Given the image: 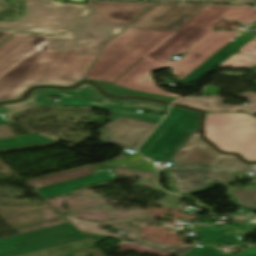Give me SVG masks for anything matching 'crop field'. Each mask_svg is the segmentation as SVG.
I'll return each mask as SVG.
<instances>
[{"mask_svg": "<svg viewBox=\"0 0 256 256\" xmlns=\"http://www.w3.org/2000/svg\"><path fill=\"white\" fill-rule=\"evenodd\" d=\"M119 115L146 121V122H150V123H154V124H157L161 120V118H159V117L147 116V115H143V114H126V113L115 114L108 119L113 120V119L117 118Z\"/></svg>", "mask_w": 256, "mask_h": 256, "instance_id": "a9b5d70f", "label": "crop field"}, {"mask_svg": "<svg viewBox=\"0 0 256 256\" xmlns=\"http://www.w3.org/2000/svg\"><path fill=\"white\" fill-rule=\"evenodd\" d=\"M13 32L14 31L0 30V42H2L5 38H7Z\"/></svg>", "mask_w": 256, "mask_h": 256, "instance_id": "bd1437ed", "label": "crop field"}, {"mask_svg": "<svg viewBox=\"0 0 256 256\" xmlns=\"http://www.w3.org/2000/svg\"><path fill=\"white\" fill-rule=\"evenodd\" d=\"M218 92H219V89H218V88L210 86L209 88H206V89L203 91L202 94H203L204 96H205V95H208V94L214 95V94H218Z\"/></svg>", "mask_w": 256, "mask_h": 256, "instance_id": "750c4746", "label": "crop field"}, {"mask_svg": "<svg viewBox=\"0 0 256 256\" xmlns=\"http://www.w3.org/2000/svg\"><path fill=\"white\" fill-rule=\"evenodd\" d=\"M92 172H94V170L91 169L89 166H87L85 168L72 170V171L60 173V174L45 177V178L30 180L27 182V184H29L33 188L43 187L45 185L90 175Z\"/></svg>", "mask_w": 256, "mask_h": 256, "instance_id": "4a817a6b", "label": "crop field"}, {"mask_svg": "<svg viewBox=\"0 0 256 256\" xmlns=\"http://www.w3.org/2000/svg\"><path fill=\"white\" fill-rule=\"evenodd\" d=\"M185 256H235L230 254H221L214 247L203 246L195 247ZM239 256H256V249L252 248Z\"/></svg>", "mask_w": 256, "mask_h": 256, "instance_id": "dafd665d", "label": "crop field"}, {"mask_svg": "<svg viewBox=\"0 0 256 256\" xmlns=\"http://www.w3.org/2000/svg\"><path fill=\"white\" fill-rule=\"evenodd\" d=\"M256 83V82H255Z\"/></svg>", "mask_w": 256, "mask_h": 256, "instance_id": "c21b1889", "label": "crop field"}, {"mask_svg": "<svg viewBox=\"0 0 256 256\" xmlns=\"http://www.w3.org/2000/svg\"><path fill=\"white\" fill-rule=\"evenodd\" d=\"M155 1H176V0H155Z\"/></svg>", "mask_w": 256, "mask_h": 256, "instance_id": "028f5c9d", "label": "crop field"}, {"mask_svg": "<svg viewBox=\"0 0 256 256\" xmlns=\"http://www.w3.org/2000/svg\"><path fill=\"white\" fill-rule=\"evenodd\" d=\"M224 99L218 95L198 98L179 99L174 104L190 106L207 111L240 112L246 111V107L240 105H222Z\"/></svg>", "mask_w": 256, "mask_h": 256, "instance_id": "5142ce71", "label": "crop field"}, {"mask_svg": "<svg viewBox=\"0 0 256 256\" xmlns=\"http://www.w3.org/2000/svg\"><path fill=\"white\" fill-rule=\"evenodd\" d=\"M198 226H210L208 224H198Z\"/></svg>", "mask_w": 256, "mask_h": 256, "instance_id": "5866460e", "label": "crop field"}, {"mask_svg": "<svg viewBox=\"0 0 256 256\" xmlns=\"http://www.w3.org/2000/svg\"><path fill=\"white\" fill-rule=\"evenodd\" d=\"M256 0H237V1H229V0H179L178 2H212V3H246V4H254Z\"/></svg>", "mask_w": 256, "mask_h": 256, "instance_id": "730fd06b", "label": "crop field"}, {"mask_svg": "<svg viewBox=\"0 0 256 256\" xmlns=\"http://www.w3.org/2000/svg\"><path fill=\"white\" fill-rule=\"evenodd\" d=\"M60 95L61 106H91L110 111L134 113L136 109H146L166 114L169 105L154 101L109 99L100 94L93 85L83 84L73 90L34 89L30 96L20 103L0 105V111L7 121L26 109L43 105H55L46 97Z\"/></svg>", "mask_w": 256, "mask_h": 256, "instance_id": "34b2d1b8", "label": "crop field"}, {"mask_svg": "<svg viewBox=\"0 0 256 256\" xmlns=\"http://www.w3.org/2000/svg\"><path fill=\"white\" fill-rule=\"evenodd\" d=\"M231 195L237 197V203L249 208H256V189L248 191L241 188H233Z\"/></svg>", "mask_w": 256, "mask_h": 256, "instance_id": "92a150f3", "label": "crop field"}, {"mask_svg": "<svg viewBox=\"0 0 256 256\" xmlns=\"http://www.w3.org/2000/svg\"><path fill=\"white\" fill-rule=\"evenodd\" d=\"M87 81H90V80H87ZM94 82L106 93L114 96L148 97V98L164 100L169 102H172L175 99V98L164 97V96H159V95H154L149 93L131 91L114 84H107V83L96 82V81Z\"/></svg>", "mask_w": 256, "mask_h": 256, "instance_id": "bc2a9ffb", "label": "crop field"}, {"mask_svg": "<svg viewBox=\"0 0 256 256\" xmlns=\"http://www.w3.org/2000/svg\"><path fill=\"white\" fill-rule=\"evenodd\" d=\"M253 40H256V37H254Z\"/></svg>", "mask_w": 256, "mask_h": 256, "instance_id": "b80d0937", "label": "crop field"}, {"mask_svg": "<svg viewBox=\"0 0 256 256\" xmlns=\"http://www.w3.org/2000/svg\"><path fill=\"white\" fill-rule=\"evenodd\" d=\"M3 124H7V122H6V120L4 119V117L0 113V125H3Z\"/></svg>", "mask_w": 256, "mask_h": 256, "instance_id": "120bbe31", "label": "crop field"}, {"mask_svg": "<svg viewBox=\"0 0 256 256\" xmlns=\"http://www.w3.org/2000/svg\"><path fill=\"white\" fill-rule=\"evenodd\" d=\"M140 159H142V157L140 155L129 156V157L125 158L124 160H120V161H117L114 164H109V165L113 166V165H118V164L127 163V162H131V161H136V160H140Z\"/></svg>", "mask_w": 256, "mask_h": 256, "instance_id": "ae1a2a85", "label": "crop field"}, {"mask_svg": "<svg viewBox=\"0 0 256 256\" xmlns=\"http://www.w3.org/2000/svg\"><path fill=\"white\" fill-rule=\"evenodd\" d=\"M75 249H77V247L70 243L22 256H70Z\"/></svg>", "mask_w": 256, "mask_h": 256, "instance_id": "00972430", "label": "crop field"}, {"mask_svg": "<svg viewBox=\"0 0 256 256\" xmlns=\"http://www.w3.org/2000/svg\"><path fill=\"white\" fill-rule=\"evenodd\" d=\"M156 125L129 118L119 117L104 128L106 142L124 144L136 149Z\"/></svg>", "mask_w": 256, "mask_h": 256, "instance_id": "28ad6ade", "label": "crop field"}, {"mask_svg": "<svg viewBox=\"0 0 256 256\" xmlns=\"http://www.w3.org/2000/svg\"><path fill=\"white\" fill-rule=\"evenodd\" d=\"M205 135L221 150L256 161V118L244 113L207 112Z\"/></svg>", "mask_w": 256, "mask_h": 256, "instance_id": "412701ff", "label": "crop field"}, {"mask_svg": "<svg viewBox=\"0 0 256 256\" xmlns=\"http://www.w3.org/2000/svg\"><path fill=\"white\" fill-rule=\"evenodd\" d=\"M173 160L176 163L174 167H212L234 172L251 171L254 172L252 177L256 178V165H247L236 156L218 153L198 134H193Z\"/></svg>", "mask_w": 256, "mask_h": 256, "instance_id": "e52e79f7", "label": "crop field"}, {"mask_svg": "<svg viewBox=\"0 0 256 256\" xmlns=\"http://www.w3.org/2000/svg\"><path fill=\"white\" fill-rule=\"evenodd\" d=\"M114 175L111 174V170L106 169L103 171L96 172L90 177L80 178L44 188L37 189V192L42 195L44 198L54 196L57 194L69 192L77 186L87 185L99 181H108L113 178Z\"/></svg>", "mask_w": 256, "mask_h": 256, "instance_id": "cbeb9de0", "label": "crop field"}, {"mask_svg": "<svg viewBox=\"0 0 256 256\" xmlns=\"http://www.w3.org/2000/svg\"><path fill=\"white\" fill-rule=\"evenodd\" d=\"M244 221H245V218L234 217V222H236V223H244Z\"/></svg>", "mask_w": 256, "mask_h": 256, "instance_id": "1d83c4d3", "label": "crop field"}, {"mask_svg": "<svg viewBox=\"0 0 256 256\" xmlns=\"http://www.w3.org/2000/svg\"><path fill=\"white\" fill-rule=\"evenodd\" d=\"M168 171L177 183L175 186L179 194L203 189L215 180L223 183L232 179L230 172L214 169H168ZM207 177L210 179L204 181L203 179Z\"/></svg>", "mask_w": 256, "mask_h": 256, "instance_id": "d1516ede", "label": "crop field"}, {"mask_svg": "<svg viewBox=\"0 0 256 256\" xmlns=\"http://www.w3.org/2000/svg\"><path fill=\"white\" fill-rule=\"evenodd\" d=\"M253 36L254 35L241 32L234 39H232L228 44H226L223 48H221L218 52L212 55L209 59H207L204 63H202L199 67L193 70L190 74H188L182 80L184 82H192L198 79L199 76L208 73L215 66H217L221 61H223L228 56L232 55L234 50L238 49L241 45H243Z\"/></svg>", "mask_w": 256, "mask_h": 256, "instance_id": "22f410ed", "label": "crop field"}, {"mask_svg": "<svg viewBox=\"0 0 256 256\" xmlns=\"http://www.w3.org/2000/svg\"><path fill=\"white\" fill-rule=\"evenodd\" d=\"M67 220H69L75 227H77L79 230L82 231H88V232H93V233H98V234H104V235H109V236H123L124 239L130 240V241H135V242H140L144 244H148L151 246H155L158 248L165 249L167 251H170L172 253L178 254L180 256H184L187 254L191 249H193L196 245H181V246H176V247H163L160 245L144 242L140 240L137 228L138 225L142 223H150V224H170L174 222V219H172L170 222H157L154 219L150 217H143V216H137L135 218H132L128 221H110V222H92V221H83V220H78L72 216L66 217ZM133 222L132 228H129L127 225V222ZM187 221V220H185ZM109 224L112 227H114L117 230H122L124 231L123 235H113L105 230L102 229L101 226Z\"/></svg>", "mask_w": 256, "mask_h": 256, "instance_id": "3316defc", "label": "crop field"}, {"mask_svg": "<svg viewBox=\"0 0 256 256\" xmlns=\"http://www.w3.org/2000/svg\"><path fill=\"white\" fill-rule=\"evenodd\" d=\"M237 96H241L243 98H246L250 101V104L247 106V112L254 115L256 113V94L252 92H245L242 95L234 94Z\"/></svg>", "mask_w": 256, "mask_h": 256, "instance_id": "4177f3b9", "label": "crop field"}, {"mask_svg": "<svg viewBox=\"0 0 256 256\" xmlns=\"http://www.w3.org/2000/svg\"><path fill=\"white\" fill-rule=\"evenodd\" d=\"M148 1H154V0H148Z\"/></svg>", "mask_w": 256, "mask_h": 256, "instance_id": "c035e120", "label": "crop field"}, {"mask_svg": "<svg viewBox=\"0 0 256 256\" xmlns=\"http://www.w3.org/2000/svg\"><path fill=\"white\" fill-rule=\"evenodd\" d=\"M198 238L200 243L209 245L242 244L238 235L225 236L222 234V228L216 227H198ZM231 239V241H228Z\"/></svg>", "mask_w": 256, "mask_h": 256, "instance_id": "733c2abd", "label": "crop field"}, {"mask_svg": "<svg viewBox=\"0 0 256 256\" xmlns=\"http://www.w3.org/2000/svg\"><path fill=\"white\" fill-rule=\"evenodd\" d=\"M82 233V232H81ZM89 241H91L93 244L105 239L106 237L96 236L92 234L82 233Z\"/></svg>", "mask_w": 256, "mask_h": 256, "instance_id": "d3111659", "label": "crop field"}, {"mask_svg": "<svg viewBox=\"0 0 256 256\" xmlns=\"http://www.w3.org/2000/svg\"><path fill=\"white\" fill-rule=\"evenodd\" d=\"M203 6L154 3L127 26L177 30Z\"/></svg>", "mask_w": 256, "mask_h": 256, "instance_id": "5a996713", "label": "crop field"}, {"mask_svg": "<svg viewBox=\"0 0 256 256\" xmlns=\"http://www.w3.org/2000/svg\"><path fill=\"white\" fill-rule=\"evenodd\" d=\"M200 112L173 107L170 114L139 149L146 158L170 160L193 131L198 128Z\"/></svg>", "mask_w": 256, "mask_h": 256, "instance_id": "f4fd0767", "label": "crop field"}, {"mask_svg": "<svg viewBox=\"0 0 256 256\" xmlns=\"http://www.w3.org/2000/svg\"><path fill=\"white\" fill-rule=\"evenodd\" d=\"M28 1L21 22H0V28L35 32L68 31L77 19L80 6L62 5L52 0Z\"/></svg>", "mask_w": 256, "mask_h": 256, "instance_id": "dd49c442", "label": "crop field"}, {"mask_svg": "<svg viewBox=\"0 0 256 256\" xmlns=\"http://www.w3.org/2000/svg\"><path fill=\"white\" fill-rule=\"evenodd\" d=\"M84 238L68 222L0 241V256H16Z\"/></svg>", "mask_w": 256, "mask_h": 256, "instance_id": "d8731c3e", "label": "crop field"}, {"mask_svg": "<svg viewBox=\"0 0 256 256\" xmlns=\"http://www.w3.org/2000/svg\"><path fill=\"white\" fill-rule=\"evenodd\" d=\"M38 135H41V134H38ZM41 136H43V135H41ZM43 137H46V136H43ZM46 138H48V137H46ZM51 139V138H50ZM56 141V140H55Z\"/></svg>", "mask_w": 256, "mask_h": 256, "instance_id": "e1f06a70", "label": "crop field"}, {"mask_svg": "<svg viewBox=\"0 0 256 256\" xmlns=\"http://www.w3.org/2000/svg\"><path fill=\"white\" fill-rule=\"evenodd\" d=\"M52 142L50 139L43 138L37 135H30L6 140H0V149L14 148L26 146L36 143Z\"/></svg>", "mask_w": 256, "mask_h": 256, "instance_id": "214f88e0", "label": "crop field"}, {"mask_svg": "<svg viewBox=\"0 0 256 256\" xmlns=\"http://www.w3.org/2000/svg\"><path fill=\"white\" fill-rule=\"evenodd\" d=\"M124 166H130V167L139 166V168L147 169V170H152L154 168L153 164L149 161H142V162H138L130 165H124Z\"/></svg>", "mask_w": 256, "mask_h": 256, "instance_id": "eef30255", "label": "crop field"}, {"mask_svg": "<svg viewBox=\"0 0 256 256\" xmlns=\"http://www.w3.org/2000/svg\"><path fill=\"white\" fill-rule=\"evenodd\" d=\"M239 54H234L228 60L220 64L222 68H245L255 66L256 63V41L250 40L241 49Z\"/></svg>", "mask_w": 256, "mask_h": 256, "instance_id": "d9b57169", "label": "crop field"}, {"mask_svg": "<svg viewBox=\"0 0 256 256\" xmlns=\"http://www.w3.org/2000/svg\"><path fill=\"white\" fill-rule=\"evenodd\" d=\"M234 20L249 24L256 19V8L207 5L177 32L125 28L110 40L91 68L87 78L113 82L143 56L146 57L114 84L127 89L179 98L157 87L148 70L170 67L179 78L185 77L240 32H212L219 21ZM208 35L179 61L168 62L174 54L185 53Z\"/></svg>", "mask_w": 256, "mask_h": 256, "instance_id": "ac0d7876", "label": "crop field"}, {"mask_svg": "<svg viewBox=\"0 0 256 256\" xmlns=\"http://www.w3.org/2000/svg\"><path fill=\"white\" fill-rule=\"evenodd\" d=\"M70 5H76V4H70ZM81 6H85V5H81Z\"/></svg>", "mask_w": 256, "mask_h": 256, "instance_id": "0bd39190", "label": "crop field"}, {"mask_svg": "<svg viewBox=\"0 0 256 256\" xmlns=\"http://www.w3.org/2000/svg\"><path fill=\"white\" fill-rule=\"evenodd\" d=\"M149 5L90 2L72 33H15L0 45V101L20 98L34 85L84 79L107 39Z\"/></svg>", "mask_w": 256, "mask_h": 256, "instance_id": "8a807250", "label": "crop field"}, {"mask_svg": "<svg viewBox=\"0 0 256 256\" xmlns=\"http://www.w3.org/2000/svg\"><path fill=\"white\" fill-rule=\"evenodd\" d=\"M157 69H162V68H153V69H150L149 70V73H151L152 71H155V70H157ZM167 69V68H166Z\"/></svg>", "mask_w": 256, "mask_h": 256, "instance_id": "d32e631a", "label": "crop field"}]
</instances>
